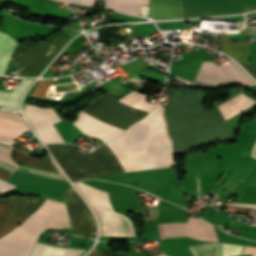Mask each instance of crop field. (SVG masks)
Segmentation results:
<instances>
[{
  "label": "crop field",
  "instance_id": "16",
  "mask_svg": "<svg viewBox=\"0 0 256 256\" xmlns=\"http://www.w3.org/2000/svg\"><path fill=\"white\" fill-rule=\"evenodd\" d=\"M220 50L236 60L248 63L245 42L229 43V36L224 35L223 43Z\"/></svg>",
  "mask_w": 256,
  "mask_h": 256
},
{
  "label": "crop field",
  "instance_id": "9",
  "mask_svg": "<svg viewBox=\"0 0 256 256\" xmlns=\"http://www.w3.org/2000/svg\"><path fill=\"white\" fill-rule=\"evenodd\" d=\"M62 194L73 228V235L94 238L96 233L94 219L82 199L72 187Z\"/></svg>",
  "mask_w": 256,
  "mask_h": 256
},
{
  "label": "crop field",
  "instance_id": "2",
  "mask_svg": "<svg viewBox=\"0 0 256 256\" xmlns=\"http://www.w3.org/2000/svg\"><path fill=\"white\" fill-rule=\"evenodd\" d=\"M36 212L67 222L64 203L46 199ZM34 212L27 220L0 237V256H28L44 228H65L69 224Z\"/></svg>",
  "mask_w": 256,
  "mask_h": 256
},
{
  "label": "crop field",
  "instance_id": "12",
  "mask_svg": "<svg viewBox=\"0 0 256 256\" xmlns=\"http://www.w3.org/2000/svg\"><path fill=\"white\" fill-rule=\"evenodd\" d=\"M0 118L23 122L19 113H9L0 109ZM0 119V134L18 137L22 132L29 130L26 124ZM0 135V143L12 145L16 138Z\"/></svg>",
  "mask_w": 256,
  "mask_h": 256
},
{
  "label": "crop field",
  "instance_id": "3",
  "mask_svg": "<svg viewBox=\"0 0 256 256\" xmlns=\"http://www.w3.org/2000/svg\"><path fill=\"white\" fill-rule=\"evenodd\" d=\"M13 159L21 164L34 166L50 171L59 172L54 164L52 163L51 159H37L30 157L25 151L21 149L14 148ZM21 165L18 169L19 171L41 175L49 178L65 180L61 174L29 167ZM16 171L12 177L8 180L15 185L11 191L13 192H22V193H32L43 195L48 198H52L58 201H62L61 192L65 190L69 185L65 181H59L54 179H49L41 176L26 174ZM60 173V172H59Z\"/></svg>",
  "mask_w": 256,
  "mask_h": 256
},
{
  "label": "crop field",
  "instance_id": "26",
  "mask_svg": "<svg viewBox=\"0 0 256 256\" xmlns=\"http://www.w3.org/2000/svg\"><path fill=\"white\" fill-rule=\"evenodd\" d=\"M93 1L94 0H80V4L93 6Z\"/></svg>",
  "mask_w": 256,
  "mask_h": 256
},
{
  "label": "crop field",
  "instance_id": "18",
  "mask_svg": "<svg viewBox=\"0 0 256 256\" xmlns=\"http://www.w3.org/2000/svg\"><path fill=\"white\" fill-rule=\"evenodd\" d=\"M17 42L9 36L0 33V74H4L5 67Z\"/></svg>",
  "mask_w": 256,
  "mask_h": 256
},
{
  "label": "crop field",
  "instance_id": "10",
  "mask_svg": "<svg viewBox=\"0 0 256 256\" xmlns=\"http://www.w3.org/2000/svg\"><path fill=\"white\" fill-rule=\"evenodd\" d=\"M24 115L39 134L44 143L63 142L53 123L61 118L51 108H40L26 105Z\"/></svg>",
  "mask_w": 256,
  "mask_h": 256
},
{
  "label": "crop field",
  "instance_id": "23",
  "mask_svg": "<svg viewBox=\"0 0 256 256\" xmlns=\"http://www.w3.org/2000/svg\"><path fill=\"white\" fill-rule=\"evenodd\" d=\"M87 256H120V255L94 247Z\"/></svg>",
  "mask_w": 256,
  "mask_h": 256
},
{
  "label": "crop field",
  "instance_id": "15",
  "mask_svg": "<svg viewBox=\"0 0 256 256\" xmlns=\"http://www.w3.org/2000/svg\"><path fill=\"white\" fill-rule=\"evenodd\" d=\"M255 103V101L241 94L238 97L220 105L219 109L224 119H227Z\"/></svg>",
  "mask_w": 256,
  "mask_h": 256
},
{
  "label": "crop field",
  "instance_id": "13",
  "mask_svg": "<svg viewBox=\"0 0 256 256\" xmlns=\"http://www.w3.org/2000/svg\"><path fill=\"white\" fill-rule=\"evenodd\" d=\"M33 80L34 79H23L12 92L0 91V106L11 110L19 109V101L22 94Z\"/></svg>",
  "mask_w": 256,
  "mask_h": 256
},
{
  "label": "crop field",
  "instance_id": "17",
  "mask_svg": "<svg viewBox=\"0 0 256 256\" xmlns=\"http://www.w3.org/2000/svg\"><path fill=\"white\" fill-rule=\"evenodd\" d=\"M149 0H107V6L113 10L137 15L138 4L148 5Z\"/></svg>",
  "mask_w": 256,
  "mask_h": 256
},
{
  "label": "crop field",
  "instance_id": "20",
  "mask_svg": "<svg viewBox=\"0 0 256 256\" xmlns=\"http://www.w3.org/2000/svg\"><path fill=\"white\" fill-rule=\"evenodd\" d=\"M10 156H11V149L0 145V159L17 165L15 162H13L11 160ZM0 168L5 169V170L10 171V172L13 173L18 167L10 165V164L5 163V162L0 160ZM2 169H0V178L7 181V179L10 177V175L12 173L7 172V171L2 170Z\"/></svg>",
  "mask_w": 256,
  "mask_h": 256
},
{
  "label": "crop field",
  "instance_id": "28",
  "mask_svg": "<svg viewBox=\"0 0 256 256\" xmlns=\"http://www.w3.org/2000/svg\"><path fill=\"white\" fill-rule=\"evenodd\" d=\"M251 156L254 157V158H256V143H255L254 146H253Z\"/></svg>",
  "mask_w": 256,
  "mask_h": 256
},
{
  "label": "crop field",
  "instance_id": "7",
  "mask_svg": "<svg viewBox=\"0 0 256 256\" xmlns=\"http://www.w3.org/2000/svg\"><path fill=\"white\" fill-rule=\"evenodd\" d=\"M232 62L225 66H215L213 62L203 61L195 81L216 86L255 84Z\"/></svg>",
  "mask_w": 256,
  "mask_h": 256
},
{
  "label": "crop field",
  "instance_id": "4",
  "mask_svg": "<svg viewBox=\"0 0 256 256\" xmlns=\"http://www.w3.org/2000/svg\"><path fill=\"white\" fill-rule=\"evenodd\" d=\"M68 38L70 36L59 32L45 42L19 44L11 60L17 70L20 69V76H37Z\"/></svg>",
  "mask_w": 256,
  "mask_h": 256
},
{
  "label": "crop field",
  "instance_id": "29",
  "mask_svg": "<svg viewBox=\"0 0 256 256\" xmlns=\"http://www.w3.org/2000/svg\"><path fill=\"white\" fill-rule=\"evenodd\" d=\"M58 1L73 2V3H78L79 4V0H58Z\"/></svg>",
  "mask_w": 256,
  "mask_h": 256
},
{
  "label": "crop field",
  "instance_id": "19",
  "mask_svg": "<svg viewBox=\"0 0 256 256\" xmlns=\"http://www.w3.org/2000/svg\"><path fill=\"white\" fill-rule=\"evenodd\" d=\"M193 256H221V246L216 242H208L189 246Z\"/></svg>",
  "mask_w": 256,
  "mask_h": 256
},
{
  "label": "crop field",
  "instance_id": "6",
  "mask_svg": "<svg viewBox=\"0 0 256 256\" xmlns=\"http://www.w3.org/2000/svg\"><path fill=\"white\" fill-rule=\"evenodd\" d=\"M147 95L132 91L119 101L150 111L156 104L145 101ZM86 135L99 137L103 142L121 135L124 130L105 124L80 111L78 120L73 122Z\"/></svg>",
  "mask_w": 256,
  "mask_h": 256
},
{
  "label": "crop field",
  "instance_id": "24",
  "mask_svg": "<svg viewBox=\"0 0 256 256\" xmlns=\"http://www.w3.org/2000/svg\"><path fill=\"white\" fill-rule=\"evenodd\" d=\"M15 185L10 184L8 182H5L0 179V194L8 192L10 189H12Z\"/></svg>",
  "mask_w": 256,
  "mask_h": 256
},
{
  "label": "crop field",
  "instance_id": "8",
  "mask_svg": "<svg viewBox=\"0 0 256 256\" xmlns=\"http://www.w3.org/2000/svg\"><path fill=\"white\" fill-rule=\"evenodd\" d=\"M44 200L43 198H10L0 200V236L26 219Z\"/></svg>",
  "mask_w": 256,
  "mask_h": 256
},
{
  "label": "crop field",
  "instance_id": "1",
  "mask_svg": "<svg viewBox=\"0 0 256 256\" xmlns=\"http://www.w3.org/2000/svg\"><path fill=\"white\" fill-rule=\"evenodd\" d=\"M162 111L163 107L158 105L135 124L161 116ZM130 128L142 170L175 164L163 116ZM132 136L128 129L122 136L106 143L122 172L141 170Z\"/></svg>",
  "mask_w": 256,
  "mask_h": 256
},
{
  "label": "crop field",
  "instance_id": "21",
  "mask_svg": "<svg viewBox=\"0 0 256 256\" xmlns=\"http://www.w3.org/2000/svg\"><path fill=\"white\" fill-rule=\"evenodd\" d=\"M51 80L38 81L35 88L32 90L30 96L43 98Z\"/></svg>",
  "mask_w": 256,
  "mask_h": 256
},
{
  "label": "crop field",
  "instance_id": "14",
  "mask_svg": "<svg viewBox=\"0 0 256 256\" xmlns=\"http://www.w3.org/2000/svg\"><path fill=\"white\" fill-rule=\"evenodd\" d=\"M84 250L61 248L37 242L30 256H80Z\"/></svg>",
  "mask_w": 256,
  "mask_h": 256
},
{
  "label": "crop field",
  "instance_id": "27",
  "mask_svg": "<svg viewBox=\"0 0 256 256\" xmlns=\"http://www.w3.org/2000/svg\"><path fill=\"white\" fill-rule=\"evenodd\" d=\"M234 206H241V207H251V208H256V205H250V204H241V203H235L232 204Z\"/></svg>",
  "mask_w": 256,
  "mask_h": 256
},
{
  "label": "crop field",
  "instance_id": "22",
  "mask_svg": "<svg viewBox=\"0 0 256 256\" xmlns=\"http://www.w3.org/2000/svg\"><path fill=\"white\" fill-rule=\"evenodd\" d=\"M222 245V256H234L239 255L240 250L242 246L238 245H227V244H221Z\"/></svg>",
  "mask_w": 256,
  "mask_h": 256
},
{
  "label": "crop field",
  "instance_id": "11",
  "mask_svg": "<svg viewBox=\"0 0 256 256\" xmlns=\"http://www.w3.org/2000/svg\"><path fill=\"white\" fill-rule=\"evenodd\" d=\"M160 238L187 236L199 240L218 241L212 225L199 218L188 217V223L157 224Z\"/></svg>",
  "mask_w": 256,
  "mask_h": 256
},
{
  "label": "crop field",
  "instance_id": "25",
  "mask_svg": "<svg viewBox=\"0 0 256 256\" xmlns=\"http://www.w3.org/2000/svg\"><path fill=\"white\" fill-rule=\"evenodd\" d=\"M255 79H256V67L239 62Z\"/></svg>",
  "mask_w": 256,
  "mask_h": 256
},
{
  "label": "crop field",
  "instance_id": "30",
  "mask_svg": "<svg viewBox=\"0 0 256 256\" xmlns=\"http://www.w3.org/2000/svg\"><path fill=\"white\" fill-rule=\"evenodd\" d=\"M158 256H165L164 254L158 255Z\"/></svg>",
  "mask_w": 256,
  "mask_h": 256
},
{
  "label": "crop field",
  "instance_id": "5",
  "mask_svg": "<svg viewBox=\"0 0 256 256\" xmlns=\"http://www.w3.org/2000/svg\"><path fill=\"white\" fill-rule=\"evenodd\" d=\"M79 190L89 187L78 182ZM96 211L102 225V236H135L131 221L127 216L115 212L109 202L108 193L92 187L81 190Z\"/></svg>",
  "mask_w": 256,
  "mask_h": 256
}]
</instances>
